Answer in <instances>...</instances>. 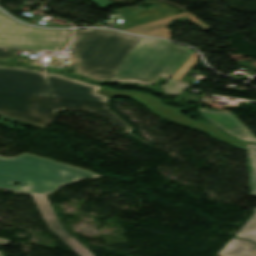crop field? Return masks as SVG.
Returning <instances> with one entry per match:
<instances>
[{"instance_id": "14", "label": "crop field", "mask_w": 256, "mask_h": 256, "mask_svg": "<svg viewBox=\"0 0 256 256\" xmlns=\"http://www.w3.org/2000/svg\"><path fill=\"white\" fill-rule=\"evenodd\" d=\"M190 84L179 82L173 78H170L167 84L161 86L165 92L171 94L172 96L178 95L180 92L188 88Z\"/></svg>"}, {"instance_id": "16", "label": "crop field", "mask_w": 256, "mask_h": 256, "mask_svg": "<svg viewBox=\"0 0 256 256\" xmlns=\"http://www.w3.org/2000/svg\"><path fill=\"white\" fill-rule=\"evenodd\" d=\"M64 58H58V57H51L49 64H52L54 66H61L63 63Z\"/></svg>"}, {"instance_id": "5", "label": "crop field", "mask_w": 256, "mask_h": 256, "mask_svg": "<svg viewBox=\"0 0 256 256\" xmlns=\"http://www.w3.org/2000/svg\"><path fill=\"white\" fill-rule=\"evenodd\" d=\"M69 30H42L14 23L0 12V47L62 50Z\"/></svg>"}, {"instance_id": "6", "label": "crop field", "mask_w": 256, "mask_h": 256, "mask_svg": "<svg viewBox=\"0 0 256 256\" xmlns=\"http://www.w3.org/2000/svg\"><path fill=\"white\" fill-rule=\"evenodd\" d=\"M99 93L107 97H129L145 106L154 114L185 127L194 122L193 119L182 115L177 108L165 106L161 100L147 94L137 93L135 91H114L108 87L102 88Z\"/></svg>"}, {"instance_id": "18", "label": "crop field", "mask_w": 256, "mask_h": 256, "mask_svg": "<svg viewBox=\"0 0 256 256\" xmlns=\"http://www.w3.org/2000/svg\"><path fill=\"white\" fill-rule=\"evenodd\" d=\"M14 51H3V49H0V58H10L13 56Z\"/></svg>"}, {"instance_id": "15", "label": "crop field", "mask_w": 256, "mask_h": 256, "mask_svg": "<svg viewBox=\"0 0 256 256\" xmlns=\"http://www.w3.org/2000/svg\"><path fill=\"white\" fill-rule=\"evenodd\" d=\"M207 125H208L207 123H205L203 121H199V122H196V123L190 125L188 128H192V129H195V130H197L199 132H202L204 134L210 135V133L206 129Z\"/></svg>"}, {"instance_id": "1", "label": "crop field", "mask_w": 256, "mask_h": 256, "mask_svg": "<svg viewBox=\"0 0 256 256\" xmlns=\"http://www.w3.org/2000/svg\"><path fill=\"white\" fill-rule=\"evenodd\" d=\"M102 87L38 69L0 65V116L44 130L61 108L106 116L130 133L132 128L107 108Z\"/></svg>"}, {"instance_id": "4", "label": "crop field", "mask_w": 256, "mask_h": 256, "mask_svg": "<svg viewBox=\"0 0 256 256\" xmlns=\"http://www.w3.org/2000/svg\"><path fill=\"white\" fill-rule=\"evenodd\" d=\"M192 52L168 41L143 38L109 81L152 85L161 75L171 77Z\"/></svg>"}, {"instance_id": "13", "label": "crop field", "mask_w": 256, "mask_h": 256, "mask_svg": "<svg viewBox=\"0 0 256 256\" xmlns=\"http://www.w3.org/2000/svg\"><path fill=\"white\" fill-rule=\"evenodd\" d=\"M197 62V54L193 52L172 77L181 81Z\"/></svg>"}, {"instance_id": "3", "label": "crop field", "mask_w": 256, "mask_h": 256, "mask_svg": "<svg viewBox=\"0 0 256 256\" xmlns=\"http://www.w3.org/2000/svg\"><path fill=\"white\" fill-rule=\"evenodd\" d=\"M140 39L112 30L75 31L69 46L75 72L98 81L108 80Z\"/></svg>"}, {"instance_id": "20", "label": "crop field", "mask_w": 256, "mask_h": 256, "mask_svg": "<svg viewBox=\"0 0 256 256\" xmlns=\"http://www.w3.org/2000/svg\"><path fill=\"white\" fill-rule=\"evenodd\" d=\"M142 12H146V10H144V11H141V12H137L136 14H138V13H142Z\"/></svg>"}, {"instance_id": "12", "label": "crop field", "mask_w": 256, "mask_h": 256, "mask_svg": "<svg viewBox=\"0 0 256 256\" xmlns=\"http://www.w3.org/2000/svg\"><path fill=\"white\" fill-rule=\"evenodd\" d=\"M208 130L210 131V133L212 134V137L214 139H217L219 141L225 142L227 144L233 145L235 147L241 148L243 150H246L245 144L234 139L231 138L229 136L224 135L223 133H221L219 130H217L216 128H214L211 125L207 126Z\"/></svg>"}, {"instance_id": "9", "label": "crop field", "mask_w": 256, "mask_h": 256, "mask_svg": "<svg viewBox=\"0 0 256 256\" xmlns=\"http://www.w3.org/2000/svg\"><path fill=\"white\" fill-rule=\"evenodd\" d=\"M217 256H256V245L232 238Z\"/></svg>"}, {"instance_id": "19", "label": "crop field", "mask_w": 256, "mask_h": 256, "mask_svg": "<svg viewBox=\"0 0 256 256\" xmlns=\"http://www.w3.org/2000/svg\"><path fill=\"white\" fill-rule=\"evenodd\" d=\"M9 242H10V240L0 238V245L7 246Z\"/></svg>"}, {"instance_id": "2", "label": "crop field", "mask_w": 256, "mask_h": 256, "mask_svg": "<svg viewBox=\"0 0 256 256\" xmlns=\"http://www.w3.org/2000/svg\"><path fill=\"white\" fill-rule=\"evenodd\" d=\"M99 175L33 156L22 154L15 158L0 156V188L31 193L49 228L79 256H94L60 224L46 194L54 193L63 185ZM20 183L13 187V183Z\"/></svg>"}, {"instance_id": "8", "label": "crop field", "mask_w": 256, "mask_h": 256, "mask_svg": "<svg viewBox=\"0 0 256 256\" xmlns=\"http://www.w3.org/2000/svg\"><path fill=\"white\" fill-rule=\"evenodd\" d=\"M187 17L192 20V22L197 25L198 27L202 28L203 30H208L210 29L208 26L205 24L201 23L200 21L197 20L196 16L185 12L182 14H178L169 18H165L159 21H155L149 24H145L139 27L131 28V29H126L125 31L141 34V35H153V36H160V37H166L170 38V29L166 28L170 21L178 19V18H183Z\"/></svg>"}, {"instance_id": "10", "label": "crop field", "mask_w": 256, "mask_h": 256, "mask_svg": "<svg viewBox=\"0 0 256 256\" xmlns=\"http://www.w3.org/2000/svg\"><path fill=\"white\" fill-rule=\"evenodd\" d=\"M250 194L256 196V146L246 144Z\"/></svg>"}, {"instance_id": "7", "label": "crop field", "mask_w": 256, "mask_h": 256, "mask_svg": "<svg viewBox=\"0 0 256 256\" xmlns=\"http://www.w3.org/2000/svg\"><path fill=\"white\" fill-rule=\"evenodd\" d=\"M212 123L229 134L247 142L256 143L254 135L229 111H211L199 108Z\"/></svg>"}, {"instance_id": "11", "label": "crop field", "mask_w": 256, "mask_h": 256, "mask_svg": "<svg viewBox=\"0 0 256 256\" xmlns=\"http://www.w3.org/2000/svg\"><path fill=\"white\" fill-rule=\"evenodd\" d=\"M253 211L254 213L251 215V217L236 233V237L249 239L256 243V209Z\"/></svg>"}, {"instance_id": "17", "label": "crop field", "mask_w": 256, "mask_h": 256, "mask_svg": "<svg viewBox=\"0 0 256 256\" xmlns=\"http://www.w3.org/2000/svg\"><path fill=\"white\" fill-rule=\"evenodd\" d=\"M92 1L96 2L97 4H99L104 8L113 4V2H111L110 0H92Z\"/></svg>"}, {"instance_id": "21", "label": "crop field", "mask_w": 256, "mask_h": 256, "mask_svg": "<svg viewBox=\"0 0 256 256\" xmlns=\"http://www.w3.org/2000/svg\"><path fill=\"white\" fill-rule=\"evenodd\" d=\"M0 256H2V253H1V251H0Z\"/></svg>"}]
</instances>
